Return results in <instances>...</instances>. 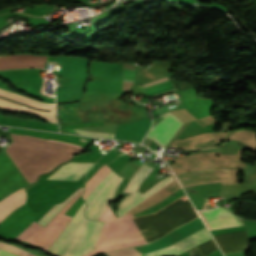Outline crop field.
Returning a JSON list of instances; mask_svg holds the SVG:
<instances>
[{
	"label": "crop field",
	"instance_id": "1",
	"mask_svg": "<svg viewBox=\"0 0 256 256\" xmlns=\"http://www.w3.org/2000/svg\"><path fill=\"white\" fill-rule=\"evenodd\" d=\"M12 135L13 145L46 151L72 157L84 148L59 141L45 140L28 137L26 135ZM6 146V150L19 170L24 174L29 183L36 181L39 174L49 172L59 163L69 159L60 155L22 148L18 146Z\"/></svg>",
	"mask_w": 256,
	"mask_h": 256
},
{
	"label": "crop field",
	"instance_id": "2",
	"mask_svg": "<svg viewBox=\"0 0 256 256\" xmlns=\"http://www.w3.org/2000/svg\"><path fill=\"white\" fill-rule=\"evenodd\" d=\"M85 203L80 207L61 235L47 250L54 256H80L92 249L104 222L86 220Z\"/></svg>",
	"mask_w": 256,
	"mask_h": 256
},
{
	"label": "crop field",
	"instance_id": "3",
	"mask_svg": "<svg viewBox=\"0 0 256 256\" xmlns=\"http://www.w3.org/2000/svg\"><path fill=\"white\" fill-rule=\"evenodd\" d=\"M149 240L136 218L106 222L96 243V249L82 255L92 256L101 251L133 247Z\"/></svg>",
	"mask_w": 256,
	"mask_h": 256
},
{
	"label": "crop field",
	"instance_id": "4",
	"mask_svg": "<svg viewBox=\"0 0 256 256\" xmlns=\"http://www.w3.org/2000/svg\"><path fill=\"white\" fill-rule=\"evenodd\" d=\"M197 216L189 200L180 198L158 213L138 217L137 220L151 242Z\"/></svg>",
	"mask_w": 256,
	"mask_h": 256
},
{
	"label": "crop field",
	"instance_id": "5",
	"mask_svg": "<svg viewBox=\"0 0 256 256\" xmlns=\"http://www.w3.org/2000/svg\"><path fill=\"white\" fill-rule=\"evenodd\" d=\"M84 190V189H83ZM78 193L44 228L37 223H33L16 239L24 240L35 244L37 247L47 250L58 234L63 230L71 219L63 215L69 206L81 195Z\"/></svg>",
	"mask_w": 256,
	"mask_h": 256
},
{
	"label": "crop field",
	"instance_id": "6",
	"mask_svg": "<svg viewBox=\"0 0 256 256\" xmlns=\"http://www.w3.org/2000/svg\"><path fill=\"white\" fill-rule=\"evenodd\" d=\"M153 170V168L143 165L134 175L133 178L129 181L126 186L124 192L132 193L125 198H123L120 203V209L117 211L118 216H123L127 211L131 208L142 202L144 199L164 187L166 184L174 180L171 176L163 179L160 183L156 184L148 191H146L143 195L139 193L137 190L139 188V184L145 180V178L149 175V173Z\"/></svg>",
	"mask_w": 256,
	"mask_h": 256
},
{
	"label": "crop field",
	"instance_id": "7",
	"mask_svg": "<svg viewBox=\"0 0 256 256\" xmlns=\"http://www.w3.org/2000/svg\"><path fill=\"white\" fill-rule=\"evenodd\" d=\"M122 181L112 170L97 185L85 200L87 207L85 215L90 219H98L106 203L112 200L114 192Z\"/></svg>",
	"mask_w": 256,
	"mask_h": 256
},
{
	"label": "crop field",
	"instance_id": "8",
	"mask_svg": "<svg viewBox=\"0 0 256 256\" xmlns=\"http://www.w3.org/2000/svg\"><path fill=\"white\" fill-rule=\"evenodd\" d=\"M209 239L211 237L204 228L169 247L145 254V256H178Z\"/></svg>",
	"mask_w": 256,
	"mask_h": 256
},
{
	"label": "crop field",
	"instance_id": "9",
	"mask_svg": "<svg viewBox=\"0 0 256 256\" xmlns=\"http://www.w3.org/2000/svg\"><path fill=\"white\" fill-rule=\"evenodd\" d=\"M161 116L165 119L152 127L147 137L154 139L161 147H165L183 122L169 112Z\"/></svg>",
	"mask_w": 256,
	"mask_h": 256
},
{
	"label": "crop field",
	"instance_id": "10",
	"mask_svg": "<svg viewBox=\"0 0 256 256\" xmlns=\"http://www.w3.org/2000/svg\"><path fill=\"white\" fill-rule=\"evenodd\" d=\"M209 230L242 225L243 223L226 208H217L199 212Z\"/></svg>",
	"mask_w": 256,
	"mask_h": 256
},
{
	"label": "crop field",
	"instance_id": "11",
	"mask_svg": "<svg viewBox=\"0 0 256 256\" xmlns=\"http://www.w3.org/2000/svg\"><path fill=\"white\" fill-rule=\"evenodd\" d=\"M224 253L246 250V231H236L214 236Z\"/></svg>",
	"mask_w": 256,
	"mask_h": 256
},
{
	"label": "crop field",
	"instance_id": "12",
	"mask_svg": "<svg viewBox=\"0 0 256 256\" xmlns=\"http://www.w3.org/2000/svg\"><path fill=\"white\" fill-rule=\"evenodd\" d=\"M93 163L70 162L64 164L48 178L78 180Z\"/></svg>",
	"mask_w": 256,
	"mask_h": 256
},
{
	"label": "crop field",
	"instance_id": "13",
	"mask_svg": "<svg viewBox=\"0 0 256 256\" xmlns=\"http://www.w3.org/2000/svg\"><path fill=\"white\" fill-rule=\"evenodd\" d=\"M26 193L24 189L13 193L0 202V222L13 210L25 203Z\"/></svg>",
	"mask_w": 256,
	"mask_h": 256
},
{
	"label": "crop field",
	"instance_id": "14",
	"mask_svg": "<svg viewBox=\"0 0 256 256\" xmlns=\"http://www.w3.org/2000/svg\"><path fill=\"white\" fill-rule=\"evenodd\" d=\"M110 170L111 169L107 165H103L99 171L86 183V191L82 194L84 199Z\"/></svg>",
	"mask_w": 256,
	"mask_h": 256
},
{
	"label": "crop field",
	"instance_id": "15",
	"mask_svg": "<svg viewBox=\"0 0 256 256\" xmlns=\"http://www.w3.org/2000/svg\"><path fill=\"white\" fill-rule=\"evenodd\" d=\"M216 249H218V247L212 239V240L188 251V253L190 254L189 256H206Z\"/></svg>",
	"mask_w": 256,
	"mask_h": 256
},
{
	"label": "crop field",
	"instance_id": "16",
	"mask_svg": "<svg viewBox=\"0 0 256 256\" xmlns=\"http://www.w3.org/2000/svg\"><path fill=\"white\" fill-rule=\"evenodd\" d=\"M82 188H79L76 192H74L72 195H70L66 200H64L62 203L55 205L53 208H51L44 217L38 222L42 225H45L65 204L66 202L74 196L78 191H80ZM73 198V197H72Z\"/></svg>",
	"mask_w": 256,
	"mask_h": 256
},
{
	"label": "crop field",
	"instance_id": "17",
	"mask_svg": "<svg viewBox=\"0 0 256 256\" xmlns=\"http://www.w3.org/2000/svg\"><path fill=\"white\" fill-rule=\"evenodd\" d=\"M109 256H142L141 253H139L134 248H128V249H122L118 251H111V252H105Z\"/></svg>",
	"mask_w": 256,
	"mask_h": 256
},
{
	"label": "crop field",
	"instance_id": "18",
	"mask_svg": "<svg viewBox=\"0 0 256 256\" xmlns=\"http://www.w3.org/2000/svg\"><path fill=\"white\" fill-rule=\"evenodd\" d=\"M0 248L6 249L8 251H11L17 255H21V256H34L18 247H15L13 245H9V244H5V243H1L0 242Z\"/></svg>",
	"mask_w": 256,
	"mask_h": 256
},
{
	"label": "crop field",
	"instance_id": "19",
	"mask_svg": "<svg viewBox=\"0 0 256 256\" xmlns=\"http://www.w3.org/2000/svg\"><path fill=\"white\" fill-rule=\"evenodd\" d=\"M74 130L77 131L79 134H84V135L101 136V137H109V138H113V136H114L111 134L82 131V130H77V129H74Z\"/></svg>",
	"mask_w": 256,
	"mask_h": 256
},
{
	"label": "crop field",
	"instance_id": "20",
	"mask_svg": "<svg viewBox=\"0 0 256 256\" xmlns=\"http://www.w3.org/2000/svg\"><path fill=\"white\" fill-rule=\"evenodd\" d=\"M0 256H15L9 252H6V251H3V250H0Z\"/></svg>",
	"mask_w": 256,
	"mask_h": 256
}]
</instances>
